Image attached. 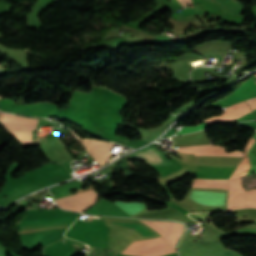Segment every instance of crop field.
Wrapping results in <instances>:
<instances>
[{
  "instance_id": "8a807250",
  "label": "crop field",
  "mask_w": 256,
  "mask_h": 256,
  "mask_svg": "<svg viewBox=\"0 0 256 256\" xmlns=\"http://www.w3.org/2000/svg\"><path fill=\"white\" fill-rule=\"evenodd\" d=\"M162 246H170L162 237L135 241L132 242L129 247L137 248H158ZM176 252V250L171 247H163L159 249H136V248H127L123 253L125 254H134L142 256H158Z\"/></svg>"
},
{
  "instance_id": "ac0d7876",
  "label": "crop field",
  "mask_w": 256,
  "mask_h": 256,
  "mask_svg": "<svg viewBox=\"0 0 256 256\" xmlns=\"http://www.w3.org/2000/svg\"><path fill=\"white\" fill-rule=\"evenodd\" d=\"M230 194L228 209L249 207L250 191L241 187V178L229 180ZM250 207H256V189L251 190Z\"/></svg>"
},
{
  "instance_id": "34b2d1b8",
  "label": "crop field",
  "mask_w": 256,
  "mask_h": 256,
  "mask_svg": "<svg viewBox=\"0 0 256 256\" xmlns=\"http://www.w3.org/2000/svg\"><path fill=\"white\" fill-rule=\"evenodd\" d=\"M158 232L164 239L176 249V244L183 232V225L175 222L145 221L140 220Z\"/></svg>"
},
{
  "instance_id": "412701ff",
  "label": "crop field",
  "mask_w": 256,
  "mask_h": 256,
  "mask_svg": "<svg viewBox=\"0 0 256 256\" xmlns=\"http://www.w3.org/2000/svg\"><path fill=\"white\" fill-rule=\"evenodd\" d=\"M97 199H98V195L94 190H92V191H87L83 193H78L74 197L58 200L56 202L58 206H60L63 209L82 212L88 207H90L91 205H93L97 201Z\"/></svg>"
},
{
  "instance_id": "f4fd0767",
  "label": "crop field",
  "mask_w": 256,
  "mask_h": 256,
  "mask_svg": "<svg viewBox=\"0 0 256 256\" xmlns=\"http://www.w3.org/2000/svg\"><path fill=\"white\" fill-rule=\"evenodd\" d=\"M80 141L86 146L87 151L92 158L101 166L113 155L109 152L114 145L113 143L93 139H80Z\"/></svg>"
},
{
  "instance_id": "dd49c442",
  "label": "crop field",
  "mask_w": 256,
  "mask_h": 256,
  "mask_svg": "<svg viewBox=\"0 0 256 256\" xmlns=\"http://www.w3.org/2000/svg\"><path fill=\"white\" fill-rule=\"evenodd\" d=\"M3 122L8 125H13V126H19V127H24V128H29L31 129V124H32V119L29 118H23L11 114H3ZM7 127L13 131L23 143H26V138L31 136V130L29 129H24V128H18V127H13V126H8Z\"/></svg>"
},
{
  "instance_id": "e52e79f7",
  "label": "crop field",
  "mask_w": 256,
  "mask_h": 256,
  "mask_svg": "<svg viewBox=\"0 0 256 256\" xmlns=\"http://www.w3.org/2000/svg\"><path fill=\"white\" fill-rule=\"evenodd\" d=\"M130 156L135 159H142L150 166L172 165L159 151L149 146L130 154Z\"/></svg>"
},
{
  "instance_id": "d8731c3e",
  "label": "crop field",
  "mask_w": 256,
  "mask_h": 256,
  "mask_svg": "<svg viewBox=\"0 0 256 256\" xmlns=\"http://www.w3.org/2000/svg\"><path fill=\"white\" fill-rule=\"evenodd\" d=\"M250 111H252L250 107L244 101H242L240 103L228 107L221 116H216L205 121L210 124H215L228 120H234L245 115Z\"/></svg>"
},
{
  "instance_id": "5a996713",
  "label": "crop field",
  "mask_w": 256,
  "mask_h": 256,
  "mask_svg": "<svg viewBox=\"0 0 256 256\" xmlns=\"http://www.w3.org/2000/svg\"><path fill=\"white\" fill-rule=\"evenodd\" d=\"M176 150H185V151H194V155H206V156H231V157H243L244 153L242 152H231L226 153L224 147L221 146H206V147H197V148H188V149H176Z\"/></svg>"
},
{
  "instance_id": "3316defc",
  "label": "crop field",
  "mask_w": 256,
  "mask_h": 256,
  "mask_svg": "<svg viewBox=\"0 0 256 256\" xmlns=\"http://www.w3.org/2000/svg\"><path fill=\"white\" fill-rule=\"evenodd\" d=\"M256 140H254L253 138L250 139L247 147H246V150H245V157L243 159V161L241 162V164L236 168V170L233 172V174L231 175L230 179L232 178H238V177H243V176H246L249 168H250V162H249V158H248V150L249 148L253 145V143L255 142Z\"/></svg>"
},
{
  "instance_id": "28ad6ade",
  "label": "crop field",
  "mask_w": 256,
  "mask_h": 256,
  "mask_svg": "<svg viewBox=\"0 0 256 256\" xmlns=\"http://www.w3.org/2000/svg\"><path fill=\"white\" fill-rule=\"evenodd\" d=\"M191 186L228 188V180L193 179Z\"/></svg>"
},
{
  "instance_id": "d1516ede",
  "label": "crop field",
  "mask_w": 256,
  "mask_h": 256,
  "mask_svg": "<svg viewBox=\"0 0 256 256\" xmlns=\"http://www.w3.org/2000/svg\"><path fill=\"white\" fill-rule=\"evenodd\" d=\"M208 126H210V125H208V124H206V123H202L201 125H198V126H193V127H184L185 128V130L183 131L182 130V128L180 129V130H182V131H180L179 133H181V134H183V133H191V132H196V131H199V130H201V129H203V128H206V127H208ZM176 134H178V133H176ZM175 134V135H176Z\"/></svg>"
},
{
  "instance_id": "22f410ed",
  "label": "crop field",
  "mask_w": 256,
  "mask_h": 256,
  "mask_svg": "<svg viewBox=\"0 0 256 256\" xmlns=\"http://www.w3.org/2000/svg\"><path fill=\"white\" fill-rule=\"evenodd\" d=\"M19 164L18 163H13L11 164L9 170L7 171V176H10L17 168H18Z\"/></svg>"
},
{
  "instance_id": "cbeb9de0",
  "label": "crop field",
  "mask_w": 256,
  "mask_h": 256,
  "mask_svg": "<svg viewBox=\"0 0 256 256\" xmlns=\"http://www.w3.org/2000/svg\"><path fill=\"white\" fill-rule=\"evenodd\" d=\"M221 256H241L239 255L237 252H234L232 250H227L224 254H222Z\"/></svg>"
},
{
  "instance_id": "5142ce71",
  "label": "crop field",
  "mask_w": 256,
  "mask_h": 256,
  "mask_svg": "<svg viewBox=\"0 0 256 256\" xmlns=\"http://www.w3.org/2000/svg\"><path fill=\"white\" fill-rule=\"evenodd\" d=\"M246 102L251 106L252 110L256 108V98L246 100Z\"/></svg>"
},
{
  "instance_id": "d9b57169",
  "label": "crop field",
  "mask_w": 256,
  "mask_h": 256,
  "mask_svg": "<svg viewBox=\"0 0 256 256\" xmlns=\"http://www.w3.org/2000/svg\"><path fill=\"white\" fill-rule=\"evenodd\" d=\"M66 239V238H65Z\"/></svg>"
}]
</instances>
